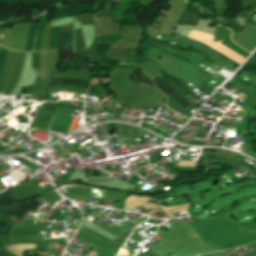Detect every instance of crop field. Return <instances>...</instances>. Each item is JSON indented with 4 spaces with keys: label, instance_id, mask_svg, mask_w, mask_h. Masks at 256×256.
Returning <instances> with one entry per match:
<instances>
[{
    "label": "crop field",
    "instance_id": "8a807250",
    "mask_svg": "<svg viewBox=\"0 0 256 256\" xmlns=\"http://www.w3.org/2000/svg\"><path fill=\"white\" fill-rule=\"evenodd\" d=\"M49 48L73 51L72 24L51 28Z\"/></svg>",
    "mask_w": 256,
    "mask_h": 256
},
{
    "label": "crop field",
    "instance_id": "ac0d7876",
    "mask_svg": "<svg viewBox=\"0 0 256 256\" xmlns=\"http://www.w3.org/2000/svg\"><path fill=\"white\" fill-rule=\"evenodd\" d=\"M37 200L22 202L6 208L3 212L14 222L26 220L28 212L36 213L39 207Z\"/></svg>",
    "mask_w": 256,
    "mask_h": 256
},
{
    "label": "crop field",
    "instance_id": "34b2d1b8",
    "mask_svg": "<svg viewBox=\"0 0 256 256\" xmlns=\"http://www.w3.org/2000/svg\"><path fill=\"white\" fill-rule=\"evenodd\" d=\"M90 81L55 79L51 86L68 85L88 89Z\"/></svg>",
    "mask_w": 256,
    "mask_h": 256
},
{
    "label": "crop field",
    "instance_id": "412701ff",
    "mask_svg": "<svg viewBox=\"0 0 256 256\" xmlns=\"http://www.w3.org/2000/svg\"><path fill=\"white\" fill-rule=\"evenodd\" d=\"M133 76H135V79H134V82L141 85V86H144V85H153V81L150 80L146 75L145 73L143 72V70L139 67L135 68L134 69V72H133Z\"/></svg>",
    "mask_w": 256,
    "mask_h": 256
},
{
    "label": "crop field",
    "instance_id": "f4fd0767",
    "mask_svg": "<svg viewBox=\"0 0 256 256\" xmlns=\"http://www.w3.org/2000/svg\"><path fill=\"white\" fill-rule=\"evenodd\" d=\"M160 81V83L167 89L169 90L172 94H174L175 96H177L183 103H185L187 106L183 105L174 95H170L171 97H173L180 105H182L185 109L190 106L192 103L189 102L187 99L183 98L175 89H173L172 87H170L165 81H163L162 79H158Z\"/></svg>",
    "mask_w": 256,
    "mask_h": 256
},
{
    "label": "crop field",
    "instance_id": "dd49c442",
    "mask_svg": "<svg viewBox=\"0 0 256 256\" xmlns=\"http://www.w3.org/2000/svg\"><path fill=\"white\" fill-rule=\"evenodd\" d=\"M13 188L0 194V209L10 203Z\"/></svg>",
    "mask_w": 256,
    "mask_h": 256
},
{
    "label": "crop field",
    "instance_id": "e52e79f7",
    "mask_svg": "<svg viewBox=\"0 0 256 256\" xmlns=\"http://www.w3.org/2000/svg\"><path fill=\"white\" fill-rule=\"evenodd\" d=\"M74 54L77 58L78 68H88V63L85 59L86 51H80Z\"/></svg>",
    "mask_w": 256,
    "mask_h": 256
},
{
    "label": "crop field",
    "instance_id": "d8731c3e",
    "mask_svg": "<svg viewBox=\"0 0 256 256\" xmlns=\"http://www.w3.org/2000/svg\"><path fill=\"white\" fill-rule=\"evenodd\" d=\"M106 55L131 58V51H129V50H109L108 52H106Z\"/></svg>",
    "mask_w": 256,
    "mask_h": 256
},
{
    "label": "crop field",
    "instance_id": "5a996713",
    "mask_svg": "<svg viewBox=\"0 0 256 256\" xmlns=\"http://www.w3.org/2000/svg\"><path fill=\"white\" fill-rule=\"evenodd\" d=\"M45 24L46 23H41L38 26V30H37V34H36V38H35V42H34V46H33V50L32 51L39 50V42H40L41 34L43 32Z\"/></svg>",
    "mask_w": 256,
    "mask_h": 256
},
{
    "label": "crop field",
    "instance_id": "3316defc",
    "mask_svg": "<svg viewBox=\"0 0 256 256\" xmlns=\"http://www.w3.org/2000/svg\"><path fill=\"white\" fill-rule=\"evenodd\" d=\"M169 78L174 81L179 87H181L185 92H187L190 96H195L196 94L193 93L187 86H185L183 83H181L178 79L175 77L169 76Z\"/></svg>",
    "mask_w": 256,
    "mask_h": 256
},
{
    "label": "crop field",
    "instance_id": "28ad6ade",
    "mask_svg": "<svg viewBox=\"0 0 256 256\" xmlns=\"http://www.w3.org/2000/svg\"><path fill=\"white\" fill-rule=\"evenodd\" d=\"M6 51H7L6 48L0 47V75L5 62Z\"/></svg>",
    "mask_w": 256,
    "mask_h": 256
},
{
    "label": "crop field",
    "instance_id": "d1516ede",
    "mask_svg": "<svg viewBox=\"0 0 256 256\" xmlns=\"http://www.w3.org/2000/svg\"><path fill=\"white\" fill-rule=\"evenodd\" d=\"M243 69H248V70L256 73V64H254L248 60L240 70H243Z\"/></svg>",
    "mask_w": 256,
    "mask_h": 256
},
{
    "label": "crop field",
    "instance_id": "22f410ed",
    "mask_svg": "<svg viewBox=\"0 0 256 256\" xmlns=\"http://www.w3.org/2000/svg\"><path fill=\"white\" fill-rule=\"evenodd\" d=\"M155 81V85L157 86V88L164 92L166 95L168 94H171L169 91H167L156 79L154 80Z\"/></svg>",
    "mask_w": 256,
    "mask_h": 256
},
{
    "label": "crop field",
    "instance_id": "cbeb9de0",
    "mask_svg": "<svg viewBox=\"0 0 256 256\" xmlns=\"http://www.w3.org/2000/svg\"><path fill=\"white\" fill-rule=\"evenodd\" d=\"M0 256H10L7 253H5L3 250L0 249Z\"/></svg>",
    "mask_w": 256,
    "mask_h": 256
},
{
    "label": "crop field",
    "instance_id": "5142ce71",
    "mask_svg": "<svg viewBox=\"0 0 256 256\" xmlns=\"http://www.w3.org/2000/svg\"><path fill=\"white\" fill-rule=\"evenodd\" d=\"M10 231H0V235H9Z\"/></svg>",
    "mask_w": 256,
    "mask_h": 256
},
{
    "label": "crop field",
    "instance_id": "d9b57169",
    "mask_svg": "<svg viewBox=\"0 0 256 256\" xmlns=\"http://www.w3.org/2000/svg\"><path fill=\"white\" fill-rule=\"evenodd\" d=\"M254 54H256V52Z\"/></svg>",
    "mask_w": 256,
    "mask_h": 256
}]
</instances>
